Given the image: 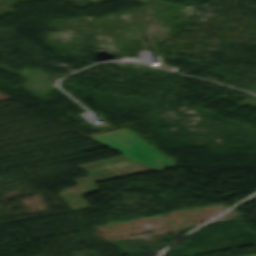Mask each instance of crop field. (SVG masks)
I'll return each mask as SVG.
<instances>
[{
  "mask_svg": "<svg viewBox=\"0 0 256 256\" xmlns=\"http://www.w3.org/2000/svg\"><path fill=\"white\" fill-rule=\"evenodd\" d=\"M77 167L84 169L90 176L74 179L78 186L63 189L58 193L72 210L88 207L81 196L84 193L97 191L95 183L153 170L124 155L77 165ZM115 171L122 172L124 176Z\"/></svg>",
  "mask_w": 256,
  "mask_h": 256,
  "instance_id": "obj_1",
  "label": "crop field"
},
{
  "mask_svg": "<svg viewBox=\"0 0 256 256\" xmlns=\"http://www.w3.org/2000/svg\"><path fill=\"white\" fill-rule=\"evenodd\" d=\"M90 137L155 170L174 165L173 161L127 128L95 134Z\"/></svg>",
  "mask_w": 256,
  "mask_h": 256,
  "instance_id": "obj_2",
  "label": "crop field"
}]
</instances>
